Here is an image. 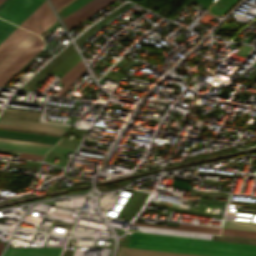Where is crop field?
Returning <instances> with one entry per match:
<instances>
[{
    "mask_svg": "<svg viewBox=\"0 0 256 256\" xmlns=\"http://www.w3.org/2000/svg\"><path fill=\"white\" fill-rule=\"evenodd\" d=\"M129 247L205 256H256L255 245L139 232H133Z\"/></svg>",
    "mask_w": 256,
    "mask_h": 256,
    "instance_id": "8a807250",
    "label": "crop field"
},
{
    "mask_svg": "<svg viewBox=\"0 0 256 256\" xmlns=\"http://www.w3.org/2000/svg\"><path fill=\"white\" fill-rule=\"evenodd\" d=\"M45 0H12L0 11V17L19 25Z\"/></svg>",
    "mask_w": 256,
    "mask_h": 256,
    "instance_id": "ac0d7876",
    "label": "crop field"
},
{
    "mask_svg": "<svg viewBox=\"0 0 256 256\" xmlns=\"http://www.w3.org/2000/svg\"><path fill=\"white\" fill-rule=\"evenodd\" d=\"M56 20V17L45 1L20 26L40 35Z\"/></svg>",
    "mask_w": 256,
    "mask_h": 256,
    "instance_id": "34b2d1b8",
    "label": "crop field"
},
{
    "mask_svg": "<svg viewBox=\"0 0 256 256\" xmlns=\"http://www.w3.org/2000/svg\"><path fill=\"white\" fill-rule=\"evenodd\" d=\"M112 1L113 0H91L62 20L67 29L71 30Z\"/></svg>",
    "mask_w": 256,
    "mask_h": 256,
    "instance_id": "412701ff",
    "label": "crop field"
},
{
    "mask_svg": "<svg viewBox=\"0 0 256 256\" xmlns=\"http://www.w3.org/2000/svg\"><path fill=\"white\" fill-rule=\"evenodd\" d=\"M39 37L33 33L28 32L16 45H14L1 59H0V74L16 60L30 45H32Z\"/></svg>",
    "mask_w": 256,
    "mask_h": 256,
    "instance_id": "f4fd0767",
    "label": "crop field"
},
{
    "mask_svg": "<svg viewBox=\"0 0 256 256\" xmlns=\"http://www.w3.org/2000/svg\"><path fill=\"white\" fill-rule=\"evenodd\" d=\"M44 42L39 39L31 46L16 62H14L1 76L0 86H2L10 77H12L30 58H32L40 49Z\"/></svg>",
    "mask_w": 256,
    "mask_h": 256,
    "instance_id": "dd49c442",
    "label": "crop field"
},
{
    "mask_svg": "<svg viewBox=\"0 0 256 256\" xmlns=\"http://www.w3.org/2000/svg\"><path fill=\"white\" fill-rule=\"evenodd\" d=\"M49 149H50L49 146H41V145L0 140V150L45 155V153Z\"/></svg>",
    "mask_w": 256,
    "mask_h": 256,
    "instance_id": "e52e79f7",
    "label": "crop field"
},
{
    "mask_svg": "<svg viewBox=\"0 0 256 256\" xmlns=\"http://www.w3.org/2000/svg\"><path fill=\"white\" fill-rule=\"evenodd\" d=\"M60 248H7L3 256H58Z\"/></svg>",
    "mask_w": 256,
    "mask_h": 256,
    "instance_id": "d8731c3e",
    "label": "crop field"
},
{
    "mask_svg": "<svg viewBox=\"0 0 256 256\" xmlns=\"http://www.w3.org/2000/svg\"><path fill=\"white\" fill-rule=\"evenodd\" d=\"M81 59L61 78L63 82V87L57 93V95L62 96L66 89L78 79L86 70Z\"/></svg>",
    "mask_w": 256,
    "mask_h": 256,
    "instance_id": "5a996713",
    "label": "crop field"
},
{
    "mask_svg": "<svg viewBox=\"0 0 256 256\" xmlns=\"http://www.w3.org/2000/svg\"><path fill=\"white\" fill-rule=\"evenodd\" d=\"M117 256H196V255H187V254L120 247Z\"/></svg>",
    "mask_w": 256,
    "mask_h": 256,
    "instance_id": "3316defc",
    "label": "crop field"
},
{
    "mask_svg": "<svg viewBox=\"0 0 256 256\" xmlns=\"http://www.w3.org/2000/svg\"><path fill=\"white\" fill-rule=\"evenodd\" d=\"M0 123L63 130V131H67L70 128L69 126L55 125V124L42 123V122L14 120V119L2 118V117H0Z\"/></svg>",
    "mask_w": 256,
    "mask_h": 256,
    "instance_id": "28ad6ade",
    "label": "crop field"
},
{
    "mask_svg": "<svg viewBox=\"0 0 256 256\" xmlns=\"http://www.w3.org/2000/svg\"><path fill=\"white\" fill-rule=\"evenodd\" d=\"M27 31L17 27L1 44H0V58L16 44Z\"/></svg>",
    "mask_w": 256,
    "mask_h": 256,
    "instance_id": "d1516ede",
    "label": "crop field"
},
{
    "mask_svg": "<svg viewBox=\"0 0 256 256\" xmlns=\"http://www.w3.org/2000/svg\"><path fill=\"white\" fill-rule=\"evenodd\" d=\"M178 226L190 227V228H199V229H208V230H216V231H220V229H221V228H217V227L200 226V225H192V224H184V223H179ZM222 231L232 232V233H240V234L256 235V232L234 230V229H226V228H223Z\"/></svg>",
    "mask_w": 256,
    "mask_h": 256,
    "instance_id": "22f410ed",
    "label": "crop field"
},
{
    "mask_svg": "<svg viewBox=\"0 0 256 256\" xmlns=\"http://www.w3.org/2000/svg\"><path fill=\"white\" fill-rule=\"evenodd\" d=\"M0 127L4 128H12V129H20V130H28V131H36V132H44V133H52V134H60L64 135L63 131H55V130H47V129H39V128H31V127H23V126H15V125H7L0 124Z\"/></svg>",
    "mask_w": 256,
    "mask_h": 256,
    "instance_id": "cbeb9de0",
    "label": "crop field"
},
{
    "mask_svg": "<svg viewBox=\"0 0 256 256\" xmlns=\"http://www.w3.org/2000/svg\"><path fill=\"white\" fill-rule=\"evenodd\" d=\"M222 227L256 231V224L225 221Z\"/></svg>",
    "mask_w": 256,
    "mask_h": 256,
    "instance_id": "5142ce71",
    "label": "crop field"
},
{
    "mask_svg": "<svg viewBox=\"0 0 256 256\" xmlns=\"http://www.w3.org/2000/svg\"><path fill=\"white\" fill-rule=\"evenodd\" d=\"M15 28L16 26L0 20V42L4 40Z\"/></svg>",
    "mask_w": 256,
    "mask_h": 256,
    "instance_id": "d9b57169",
    "label": "crop field"
},
{
    "mask_svg": "<svg viewBox=\"0 0 256 256\" xmlns=\"http://www.w3.org/2000/svg\"><path fill=\"white\" fill-rule=\"evenodd\" d=\"M133 224H137V225H146V226H156V227H165V228H174V229H183V230L202 231V232H211V233L230 234V235H239V236H248V237H256V236H250V235L231 234V233H223V232H215V231H206V230H198V229H190V228H182V227L161 226V225H149V224H141V223H136V222H134Z\"/></svg>",
    "mask_w": 256,
    "mask_h": 256,
    "instance_id": "733c2abd",
    "label": "crop field"
},
{
    "mask_svg": "<svg viewBox=\"0 0 256 256\" xmlns=\"http://www.w3.org/2000/svg\"><path fill=\"white\" fill-rule=\"evenodd\" d=\"M79 142L77 141H72V140H67V139H61L57 145H61V146H65V147H69V148H73L75 149L77 147Z\"/></svg>",
    "mask_w": 256,
    "mask_h": 256,
    "instance_id": "4a817a6b",
    "label": "crop field"
},
{
    "mask_svg": "<svg viewBox=\"0 0 256 256\" xmlns=\"http://www.w3.org/2000/svg\"><path fill=\"white\" fill-rule=\"evenodd\" d=\"M19 158L41 161L43 156L20 153Z\"/></svg>",
    "mask_w": 256,
    "mask_h": 256,
    "instance_id": "bc2a9ffb",
    "label": "crop field"
},
{
    "mask_svg": "<svg viewBox=\"0 0 256 256\" xmlns=\"http://www.w3.org/2000/svg\"><path fill=\"white\" fill-rule=\"evenodd\" d=\"M51 1L57 9L60 6H62L63 4H65L66 2H68L69 0H51Z\"/></svg>",
    "mask_w": 256,
    "mask_h": 256,
    "instance_id": "214f88e0",
    "label": "crop field"
},
{
    "mask_svg": "<svg viewBox=\"0 0 256 256\" xmlns=\"http://www.w3.org/2000/svg\"><path fill=\"white\" fill-rule=\"evenodd\" d=\"M0 139H3V140H11V139H4V138H0ZM11 141H19V140H11ZM19 142H26V141H19ZM26 143H34V142H26ZM34 144H41V145L53 146V145H50V144H42V143H34Z\"/></svg>",
    "mask_w": 256,
    "mask_h": 256,
    "instance_id": "92a150f3",
    "label": "crop field"
},
{
    "mask_svg": "<svg viewBox=\"0 0 256 256\" xmlns=\"http://www.w3.org/2000/svg\"><path fill=\"white\" fill-rule=\"evenodd\" d=\"M11 0H6L2 5H0V10L6 6Z\"/></svg>",
    "mask_w": 256,
    "mask_h": 256,
    "instance_id": "dafd665d",
    "label": "crop field"
},
{
    "mask_svg": "<svg viewBox=\"0 0 256 256\" xmlns=\"http://www.w3.org/2000/svg\"><path fill=\"white\" fill-rule=\"evenodd\" d=\"M3 247H4V244L0 243V253H1L2 249H3Z\"/></svg>",
    "mask_w": 256,
    "mask_h": 256,
    "instance_id": "00972430",
    "label": "crop field"
},
{
    "mask_svg": "<svg viewBox=\"0 0 256 256\" xmlns=\"http://www.w3.org/2000/svg\"><path fill=\"white\" fill-rule=\"evenodd\" d=\"M5 0H0V4L3 3Z\"/></svg>",
    "mask_w": 256,
    "mask_h": 256,
    "instance_id": "a9b5d70f",
    "label": "crop field"
},
{
    "mask_svg": "<svg viewBox=\"0 0 256 256\" xmlns=\"http://www.w3.org/2000/svg\"><path fill=\"white\" fill-rule=\"evenodd\" d=\"M80 137V136H79Z\"/></svg>",
    "mask_w": 256,
    "mask_h": 256,
    "instance_id": "4177f3b9",
    "label": "crop field"
}]
</instances>
